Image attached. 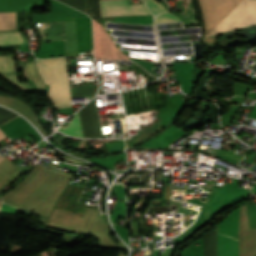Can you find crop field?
<instances>
[{"instance_id":"8a807250","label":"crop field","mask_w":256,"mask_h":256,"mask_svg":"<svg viewBox=\"0 0 256 256\" xmlns=\"http://www.w3.org/2000/svg\"><path fill=\"white\" fill-rule=\"evenodd\" d=\"M205 35L256 24V0H199Z\"/></svg>"},{"instance_id":"ac0d7876","label":"crop field","mask_w":256,"mask_h":256,"mask_svg":"<svg viewBox=\"0 0 256 256\" xmlns=\"http://www.w3.org/2000/svg\"><path fill=\"white\" fill-rule=\"evenodd\" d=\"M35 62L45 84H51L48 97L55 109L72 107L65 58Z\"/></svg>"},{"instance_id":"34b2d1b8","label":"crop field","mask_w":256,"mask_h":256,"mask_svg":"<svg viewBox=\"0 0 256 256\" xmlns=\"http://www.w3.org/2000/svg\"><path fill=\"white\" fill-rule=\"evenodd\" d=\"M218 255L240 256L238 242V208L218 225Z\"/></svg>"},{"instance_id":"412701ff","label":"crop field","mask_w":256,"mask_h":256,"mask_svg":"<svg viewBox=\"0 0 256 256\" xmlns=\"http://www.w3.org/2000/svg\"><path fill=\"white\" fill-rule=\"evenodd\" d=\"M101 17L114 15H142L151 14L144 5H128L127 0L100 1Z\"/></svg>"},{"instance_id":"f4fd0767","label":"crop field","mask_w":256,"mask_h":256,"mask_svg":"<svg viewBox=\"0 0 256 256\" xmlns=\"http://www.w3.org/2000/svg\"><path fill=\"white\" fill-rule=\"evenodd\" d=\"M4 72H15L13 55H0V73ZM3 76L24 90H31L28 85L18 82L13 74Z\"/></svg>"},{"instance_id":"dd49c442","label":"crop field","mask_w":256,"mask_h":256,"mask_svg":"<svg viewBox=\"0 0 256 256\" xmlns=\"http://www.w3.org/2000/svg\"><path fill=\"white\" fill-rule=\"evenodd\" d=\"M161 130L160 121L156 122L155 124L151 125L150 127L146 128L145 130L141 131L140 133L136 134L135 136L131 137V139H125L126 146L131 147L146 138L150 137L157 131Z\"/></svg>"},{"instance_id":"e52e79f7","label":"crop field","mask_w":256,"mask_h":256,"mask_svg":"<svg viewBox=\"0 0 256 256\" xmlns=\"http://www.w3.org/2000/svg\"><path fill=\"white\" fill-rule=\"evenodd\" d=\"M17 31L16 12L0 13V32Z\"/></svg>"},{"instance_id":"d8731c3e","label":"crop field","mask_w":256,"mask_h":256,"mask_svg":"<svg viewBox=\"0 0 256 256\" xmlns=\"http://www.w3.org/2000/svg\"><path fill=\"white\" fill-rule=\"evenodd\" d=\"M58 131L75 137H83L79 114H75L74 118L71 120L67 127H60Z\"/></svg>"},{"instance_id":"5a996713","label":"crop field","mask_w":256,"mask_h":256,"mask_svg":"<svg viewBox=\"0 0 256 256\" xmlns=\"http://www.w3.org/2000/svg\"><path fill=\"white\" fill-rule=\"evenodd\" d=\"M25 76L26 78L35 82L37 87H45L40 76L37 73L34 62H29V64H24Z\"/></svg>"},{"instance_id":"3316defc","label":"crop field","mask_w":256,"mask_h":256,"mask_svg":"<svg viewBox=\"0 0 256 256\" xmlns=\"http://www.w3.org/2000/svg\"><path fill=\"white\" fill-rule=\"evenodd\" d=\"M17 43H23L18 32L0 33V45Z\"/></svg>"},{"instance_id":"28ad6ade","label":"crop field","mask_w":256,"mask_h":256,"mask_svg":"<svg viewBox=\"0 0 256 256\" xmlns=\"http://www.w3.org/2000/svg\"><path fill=\"white\" fill-rule=\"evenodd\" d=\"M143 1L147 4V6L149 7L153 15H156L166 10L160 3H157L154 0H143Z\"/></svg>"},{"instance_id":"d1516ede","label":"crop field","mask_w":256,"mask_h":256,"mask_svg":"<svg viewBox=\"0 0 256 256\" xmlns=\"http://www.w3.org/2000/svg\"><path fill=\"white\" fill-rule=\"evenodd\" d=\"M175 21H180V20L176 16L170 14L169 11L157 16L155 19L156 23L175 22Z\"/></svg>"},{"instance_id":"22f410ed","label":"crop field","mask_w":256,"mask_h":256,"mask_svg":"<svg viewBox=\"0 0 256 256\" xmlns=\"http://www.w3.org/2000/svg\"><path fill=\"white\" fill-rule=\"evenodd\" d=\"M6 138V136L0 131V140Z\"/></svg>"},{"instance_id":"cbeb9de0","label":"crop field","mask_w":256,"mask_h":256,"mask_svg":"<svg viewBox=\"0 0 256 256\" xmlns=\"http://www.w3.org/2000/svg\"><path fill=\"white\" fill-rule=\"evenodd\" d=\"M5 158L0 157V162L3 161Z\"/></svg>"},{"instance_id":"5142ce71","label":"crop field","mask_w":256,"mask_h":256,"mask_svg":"<svg viewBox=\"0 0 256 256\" xmlns=\"http://www.w3.org/2000/svg\"><path fill=\"white\" fill-rule=\"evenodd\" d=\"M0 206H1V202H0Z\"/></svg>"}]
</instances>
